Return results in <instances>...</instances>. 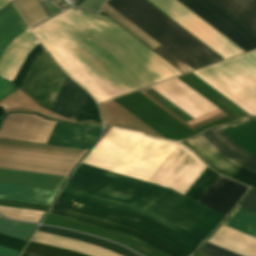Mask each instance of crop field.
Listing matches in <instances>:
<instances>
[{
    "label": "crop field",
    "instance_id": "00972430",
    "mask_svg": "<svg viewBox=\"0 0 256 256\" xmlns=\"http://www.w3.org/2000/svg\"><path fill=\"white\" fill-rule=\"evenodd\" d=\"M38 230L47 232V233H51V234H55V235H60V236L80 240V241H84V242H87L90 244H94V245L106 248L108 250L114 251L116 253L122 254L124 256H138V255L114 244V243H110V242H107V241H104V240H101L98 238L86 236V235H83L80 233L62 230V229L53 228V227H45V226H40Z\"/></svg>",
    "mask_w": 256,
    "mask_h": 256
},
{
    "label": "crop field",
    "instance_id": "4a817a6b",
    "mask_svg": "<svg viewBox=\"0 0 256 256\" xmlns=\"http://www.w3.org/2000/svg\"><path fill=\"white\" fill-rule=\"evenodd\" d=\"M102 11L105 12L107 15H109L112 19L118 22L121 26L127 29L130 33H132L135 37H137L139 40H141L144 44H146L151 49L159 45L154 40H152L149 36L143 33L140 29L134 26L131 22L125 19L122 15L116 12L113 8L107 5L106 3ZM152 50H154L156 53H158L160 56H162L164 59H166L168 62H170L172 65H174L183 73L192 71V69H190L184 63H182L180 60H178L175 56H173L171 53H169L160 45Z\"/></svg>",
    "mask_w": 256,
    "mask_h": 256
},
{
    "label": "crop field",
    "instance_id": "dd49c442",
    "mask_svg": "<svg viewBox=\"0 0 256 256\" xmlns=\"http://www.w3.org/2000/svg\"><path fill=\"white\" fill-rule=\"evenodd\" d=\"M56 204L101 216L107 219L138 227L188 253H192L198 244L144 218L114 208L103 206L77 197L61 193Z\"/></svg>",
    "mask_w": 256,
    "mask_h": 256
},
{
    "label": "crop field",
    "instance_id": "e1f06a70",
    "mask_svg": "<svg viewBox=\"0 0 256 256\" xmlns=\"http://www.w3.org/2000/svg\"><path fill=\"white\" fill-rule=\"evenodd\" d=\"M21 256H38V255L23 252V254Z\"/></svg>",
    "mask_w": 256,
    "mask_h": 256
},
{
    "label": "crop field",
    "instance_id": "d1516ede",
    "mask_svg": "<svg viewBox=\"0 0 256 256\" xmlns=\"http://www.w3.org/2000/svg\"><path fill=\"white\" fill-rule=\"evenodd\" d=\"M247 189L219 175L197 202L226 216Z\"/></svg>",
    "mask_w": 256,
    "mask_h": 256
},
{
    "label": "crop field",
    "instance_id": "92a150f3",
    "mask_svg": "<svg viewBox=\"0 0 256 256\" xmlns=\"http://www.w3.org/2000/svg\"><path fill=\"white\" fill-rule=\"evenodd\" d=\"M256 35V0H211Z\"/></svg>",
    "mask_w": 256,
    "mask_h": 256
},
{
    "label": "crop field",
    "instance_id": "028f5c9d",
    "mask_svg": "<svg viewBox=\"0 0 256 256\" xmlns=\"http://www.w3.org/2000/svg\"><path fill=\"white\" fill-rule=\"evenodd\" d=\"M10 2H12L11 0H0V10L5 7L6 5H8Z\"/></svg>",
    "mask_w": 256,
    "mask_h": 256
},
{
    "label": "crop field",
    "instance_id": "214f88e0",
    "mask_svg": "<svg viewBox=\"0 0 256 256\" xmlns=\"http://www.w3.org/2000/svg\"><path fill=\"white\" fill-rule=\"evenodd\" d=\"M57 191L0 183V199L50 205Z\"/></svg>",
    "mask_w": 256,
    "mask_h": 256
},
{
    "label": "crop field",
    "instance_id": "bc2a9ffb",
    "mask_svg": "<svg viewBox=\"0 0 256 256\" xmlns=\"http://www.w3.org/2000/svg\"><path fill=\"white\" fill-rule=\"evenodd\" d=\"M66 178L0 169V182L59 190Z\"/></svg>",
    "mask_w": 256,
    "mask_h": 256
},
{
    "label": "crop field",
    "instance_id": "bd1437ed",
    "mask_svg": "<svg viewBox=\"0 0 256 256\" xmlns=\"http://www.w3.org/2000/svg\"><path fill=\"white\" fill-rule=\"evenodd\" d=\"M40 44V43H39ZM44 49L42 47V45H38L37 47H35L26 57L25 61L23 62L21 68L19 69L17 75L15 76L14 80H13V84L15 86H19L21 80L23 79L25 73L27 72L30 64L32 63L34 57L42 50Z\"/></svg>",
    "mask_w": 256,
    "mask_h": 256
},
{
    "label": "crop field",
    "instance_id": "a9b5d70f",
    "mask_svg": "<svg viewBox=\"0 0 256 256\" xmlns=\"http://www.w3.org/2000/svg\"><path fill=\"white\" fill-rule=\"evenodd\" d=\"M223 225L256 238V214L252 212L237 207Z\"/></svg>",
    "mask_w": 256,
    "mask_h": 256
},
{
    "label": "crop field",
    "instance_id": "5a996713",
    "mask_svg": "<svg viewBox=\"0 0 256 256\" xmlns=\"http://www.w3.org/2000/svg\"><path fill=\"white\" fill-rule=\"evenodd\" d=\"M50 214L81 222L84 224L92 225L116 233L130 236L168 256H189V254L135 228L111 220H107L101 217L90 215L84 212L66 208L60 205L54 204L49 211Z\"/></svg>",
    "mask_w": 256,
    "mask_h": 256
},
{
    "label": "crop field",
    "instance_id": "412701ff",
    "mask_svg": "<svg viewBox=\"0 0 256 256\" xmlns=\"http://www.w3.org/2000/svg\"><path fill=\"white\" fill-rule=\"evenodd\" d=\"M86 152L0 139V168L68 177Z\"/></svg>",
    "mask_w": 256,
    "mask_h": 256
},
{
    "label": "crop field",
    "instance_id": "750c4746",
    "mask_svg": "<svg viewBox=\"0 0 256 256\" xmlns=\"http://www.w3.org/2000/svg\"><path fill=\"white\" fill-rule=\"evenodd\" d=\"M24 244L25 241L0 235V246L20 251ZM4 247H0V256H16L18 254V251H14Z\"/></svg>",
    "mask_w": 256,
    "mask_h": 256
},
{
    "label": "crop field",
    "instance_id": "5142ce71",
    "mask_svg": "<svg viewBox=\"0 0 256 256\" xmlns=\"http://www.w3.org/2000/svg\"><path fill=\"white\" fill-rule=\"evenodd\" d=\"M88 95L67 76L49 110L75 121Z\"/></svg>",
    "mask_w": 256,
    "mask_h": 256
},
{
    "label": "crop field",
    "instance_id": "d32e631a",
    "mask_svg": "<svg viewBox=\"0 0 256 256\" xmlns=\"http://www.w3.org/2000/svg\"><path fill=\"white\" fill-rule=\"evenodd\" d=\"M17 90V88L0 76V99Z\"/></svg>",
    "mask_w": 256,
    "mask_h": 256
},
{
    "label": "crop field",
    "instance_id": "4177f3b9",
    "mask_svg": "<svg viewBox=\"0 0 256 256\" xmlns=\"http://www.w3.org/2000/svg\"><path fill=\"white\" fill-rule=\"evenodd\" d=\"M14 3L28 27L48 19L36 0H14Z\"/></svg>",
    "mask_w": 256,
    "mask_h": 256
},
{
    "label": "crop field",
    "instance_id": "d9b57169",
    "mask_svg": "<svg viewBox=\"0 0 256 256\" xmlns=\"http://www.w3.org/2000/svg\"><path fill=\"white\" fill-rule=\"evenodd\" d=\"M222 155L256 172V157L238 147L219 127L201 133Z\"/></svg>",
    "mask_w": 256,
    "mask_h": 256
},
{
    "label": "crop field",
    "instance_id": "d8731c3e",
    "mask_svg": "<svg viewBox=\"0 0 256 256\" xmlns=\"http://www.w3.org/2000/svg\"><path fill=\"white\" fill-rule=\"evenodd\" d=\"M66 76L44 50L23 81L21 90L49 109Z\"/></svg>",
    "mask_w": 256,
    "mask_h": 256
},
{
    "label": "crop field",
    "instance_id": "ac0d7876",
    "mask_svg": "<svg viewBox=\"0 0 256 256\" xmlns=\"http://www.w3.org/2000/svg\"><path fill=\"white\" fill-rule=\"evenodd\" d=\"M66 188L149 210L204 239L225 217L169 188L83 163Z\"/></svg>",
    "mask_w": 256,
    "mask_h": 256
},
{
    "label": "crop field",
    "instance_id": "5866460e",
    "mask_svg": "<svg viewBox=\"0 0 256 256\" xmlns=\"http://www.w3.org/2000/svg\"><path fill=\"white\" fill-rule=\"evenodd\" d=\"M10 113H24V112H9V113H7V114L3 117V119H2V121H1V123H0V128H1V126H2V123H3L4 119H5V117L8 116ZM32 114H36V113H32ZM37 115H38V114H37ZM39 116H40V115H39ZM41 117H43V116H41ZM43 118H45V119H47V120H50V121L56 122V124H55V126H54V128H53V130H52V132H51V135H50V137H49V139H48V141H47V143H46V144H48L49 141H50V139H51V137H52V135H53V132H54V130H55L57 124H58V121H57V120L48 119V118H46V117H43Z\"/></svg>",
    "mask_w": 256,
    "mask_h": 256
},
{
    "label": "crop field",
    "instance_id": "1d83c4d3",
    "mask_svg": "<svg viewBox=\"0 0 256 256\" xmlns=\"http://www.w3.org/2000/svg\"><path fill=\"white\" fill-rule=\"evenodd\" d=\"M209 244L205 243L199 251L210 256H237L220 248L214 247L215 245L212 246Z\"/></svg>",
    "mask_w": 256,
    "mask_h": 256
},
{
    "label": "crop field",
    "instance_id": "28ad6ade",
    "mask_svg": "<svg viewBox=\"0 0 256 256\" xmlns=\"http://www.w3.org/2000/svg\"><path fill=\"white\" fill-rule=\"evenodd\" d=\"M186 142L209 164L228 176L256 187V173L222 156L201 134Z\"/></svg>",
    "mask_w": 256,
    "mask_h": 256
},
{
    "label": "crop field",
    "instance_id": "3316defc",
    "mask_svg": "<svg viewBox=\"0 0 256 256\" xmlns=\"http://www.w3.org/2000/svg\"><path fill=\"white\" fill-rule=\"evenodd\" d=\"M245 52L256 48V36L208 0H178Z\"/></svg>",
    "mask_w": 256,
    "mask_h": 256
},
{
    "label": "crop field",
    "instance_id": "eef30255",
    "mask_svg": "<svg viewBox=\"0 0 256 256\" xmlns=\"http://www.w3.org/2000/svg\"><path fill=\"white\" fill-rule=\"evenodd\" d=\"M217 176L218 174L207 167L184 195L197 201Z\"/></svg>",
    "mask_w": 256,
    "mask_h": 256
},
{
    "label": "crop field",
    "instance_id": "34b2d1b8",
    "mask_svg": "<svg viewBox=\"0 0 256 256\" xmlns=\"http://www.w3.org/2000/svg\"><path fill=\"white\" fill-rule=\"evenodd\" d=\"M193 70L222 60L145 0L106 2Z\"/></svg>",
    "mask_w": 256,
    "mask_h": 256
},
{
    "label": "crop field",
    "instance_id": "733c2abd",
    "mask_svg": "<svg viewBox=\"0 0 256 256\" xmlns=\"http://www.w3.org/2000/svg\"><path fill=\"white\" fill-rule=\"evenodd\" d=\"M63 193H67V194H70V195H73V196H77V197H80V198H83V199H87V200H90V201H93V202H97V203H100V204H104V205H107V206H110V207H114V208H117V209H120V210H124V211H127V212H130V213H134V214H137V215H140V216H144V217H147L197 243H201L204 239L178 227L177 225L149 212V211H145V210H142V209H138V208H134V207H131V206H127V205H124V204H120V203H116V202H113V201H109V200H106V199H102V198H99V197H95V196H91V195H88V194H84V193H81V192H77V191H73V190H70V189H66L64 188L63 190Z\"/></svg>",
    "mask_w": 256,
    "mask_h": 256
},
{
    "label": "crop field",
    "instance_id": "dafd665d",
    "mask_svg": "<svg viewBox=\"0 0 256 256\" xmlns=\"http://www.w3.org/2000/svg\"><path fill=\"white\" fill-rule=\"evenodd\" d=\"M26 29L13 3L0 12V57L10 42Z\"/></svg>",
    "mask_w": 256,
    "mask_h": 256
},
{
    "label": "crop field",
    "instance_id": "120bbe31",
    "mask_svg": "<svg viewBox=\"0 0 256 256\" xmlns=\"http://www.w3.org/2000/svg\"><path fill=\"white\" fill-rule=\"evenodd\" d=\"M239 207L256 213V190L252 189Z\"/></svg>",
    "mask_w": 256,
    "mask_h": 256
},
{
    "label": "crop field",
    "instance_id": "f4fd0767",
    "mask_svg": "<svg viewBox=\"0 0 256 256\" xmlns=\"http://www.w3.org/2000/svg\"><path fill=\"white\" fill-rule=\"evenodd\" d=\"M250 115H256V51L193 72Z\"/></svg>",
    "mask_w": 256,
    "mask_h": 256
},
{
    "label": "crop field",
    "instance_id": "22f410ed",
    "mask_svg": "<svg viewBox=\"0 0 256 256\" xmlns=\"http://www.w3.org/2000/svg\"><path fill=\"white\" fill-rule=\"evenodd\" d=\"M102 126L60 122L50 145L89 150L100 138Z\"/></svg>",
    "mask_w": 256,
    "mask_h": 256
},
{
    "label": "crop field",
    "instance_id": "8a807250",
    "mask_svg": "<svg viewBox=\"0 0 256 256\" xmlns=\"http://www.w3.org/2000/svg\"><path fill=\"white\" fill-rule=\"evenodd\" d=\"M31 31L96 102L181 75L106 17L71 8Z\"/></svg>",
    "mask_w": 256,
    "mask_h": 256
},
{
    "label": "crop field",
    "instance_id": "ae1a2a85",
    "mask_svg": "<svg viewBox=\"0 0 256 256\" xmlns=\"http://www.w3.org/2000/svg\"><path fill=\"white\" fill-rule=\"evenodd\" d=\"M25 251L42 256H86L77 252L36 244L32 242H29Z\"/></svg>",
    "mask_w": 256,
    "mask_h": 256
},
{
    "label": "crop field",
    "instance_id": "cbeb9de0",
    "mask_svg": "<svg viewBox=\"0 0 256 256\" xmlns=\"http://www.w3.org/2000/svg\"><path fill=\"white\" fill-rule=\"evenodd\" d=\"M38 44L29 29L16 37L0 59V75L12 82L26 55Z\"/></svg>",
    "mask_w": 256,
    "mask_h": 256
},
{
    "label": "crop field",
    "instance_id": "e52e79f7",
    "mask_svg": "<svg viewBox=\"0 0 256 256\" xmlns=\"http://www.w3.org/2000/svg\"><path fill=\"white\" fill-rule=\"evenodd\" d=\"M224 59L244 53L177 0H148Z\"/></svg>",
    "mask_w": 256,
    "mask_h": 256
},
{
    "label": "crop field",
    "instance_id": "730fd06b",
    "mask_svg": "<svg viewBox=\"0 0 256 256\" xmlns=\"http://www.w3.org/2000/svg\"><path fill=\"white\" fill-rule=\"evenodd\" d=\"M35 225L19 224L0 219V234L27 241Z\"/></svg>",
    "mask_w": 256,
    "mask_h": 256
},
{
    "label": "crop field",
    "instance_id": "d3111659",
    "mask_svg": "<svg viewBox=\"0 0 256 256\" xmlns=\"http://www.w3.org/2000/svg\"><path fill=\"white\" fill-rule=\"evenodd\" d=\"M99 118L98 106L89 95L76 121L98 122Z\"/></svg>",
    "mask_w": 256,
    "mask_h": 256
}]
</instances>
